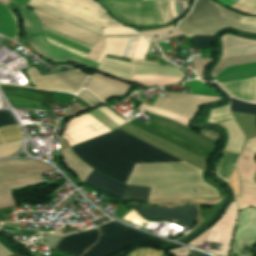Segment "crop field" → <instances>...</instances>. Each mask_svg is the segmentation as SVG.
Wrapping results in <instances>:
<instances>
[{
	"instance_id": "obj_1",
	"label": "crop field",
	"mask_w": 256,
	"mask_h": 256,
	"mask_svg": "<svg viewBox=\"0 0 256 256\" xmlns=\"http://www.w3.org/2000/svg\"><path fill=\"white\" fill-rule=\"evenodd\" d=\"M72 149L94 169L124 183L134 163L181 161L119 129ZM126 183L151 187L148 200L219 196L201 170L185 162L135 164Z\"/></svg>"
},
{
	"instance_id": "obj_2",
	"label": "crop field",
	"mask_w": 256,
	"mask_h": 256,
	"mask_svg": "<svg viewBox=\"0 0 256 256\" xmlns=\"http://www.w3.org/2000/svg\"><path fill=\"white\" fill-rule=\"evenodd\" d=\"M148 117H149V121L150 122H152V123H154V124H156V125H158V126H160V127H162V128H164V129H166V130H168V131H170V132H172V133H174V134H176V135H178V136H180V137H182V138H184V139H186V140H188V141H190V142H192V143H194V144H196V145H198V146H200V147H202V148H204V149H206V150H208V151H213L214 150V148H215V142H213V141H211V140H209V139H207V138H205V137H203V136H201V135H199V134H197V133H195V132H193V131H191V130H189V129H187V128H185V127H183V126H181V125H179V124H177V123H175V122H172V121H170V120H168V119H165V118H162V117H159V116H155V115H152V114H149L148 113ZM152 123H150L151 125H153V126H155V127H157V128H159V129H161V130H163V131H165V132H167V133H169V134H171V135H173V136H175V137H177V138H179V139H181V140H183V141H185V142H187V143H189V144H191V145H193V146H195V147H197V148H199V149H201V150H203V151H205V152H207V153H210V152H208V151H206V150H204V149H202V148H200V147H198V146H196V145H194V144H192V143H190V142H188V141H186V140H184V139H182V138H180V137H178V136H176V135H174V134H172V133H170V132H168V131H166V130H164V129H162V128H160V127H158V126H156V125H154V124H152ZM126 125H128V126H130V127H132V128H134V129H136V130H138V131H140V132H142V133H144V134H146V135H148V136H150V137H152V138H154V139H156V140H158V141H160V142H162V143H164V144H166V145H168V146H170V147H172V148H174V149H176V150H178V151H180V152H182V153H184V154H186V155H188V156H190V157H192V158H194V159H196V160H198V161H200V162H202V163H204V164H206V160H207V156L209 155V154H207V153H205V152H203V151H201V150H199V149H197V148H195V147H193V146H191V145H189V144H187V143H185V142H183V141H181V140H179V139H177V138H175V137H173V136H171V135H169V134H167V133H165V132H163V131H161V130H159V129H157V128H155V127H153V126H151V125H146L145 123H143V122H141V121H139L138 119H136V118H134L133 120H131V121H129V122H127L126 123ZM125 126V125H124ZM123 127V126H122ZM127 127V126H126ZM121 128V127H120ZM125 128V127H124ZM129 128V127H128ZM123 129V128H122ZM127 129V128H126ZM131 129V128H130ZM125 130V129H124ZM129 130V129H128ZM133 130V129H132ZM127 131V130H126ZM131 131V130H130ZM135 131V130H134ZM129 132V131H128ZM133 132V131H132ZM137 132V131H136ZM131 133V132H130ZM135 133V132H134ZM139 133V132H138ZM133 134V133H132ZM137 134V133H136ZM141 134V133H140ZM135 135V134H134ZM139 135V134H138ZM143 135V134H142ZM137 136V135H136ZM141 136V135H140ZM145 136V135H144ZM139 137V136H138ZM143 137V136H142ZM147 137V136H146ZM141 138V137H140ZM145 138V137H144ZM149 138V137H148ZM143 139V138H142ZM147 139V138H146ZM151 139V138H150ZM145 140V139H144ZM149 140V139H148ZM153 140V139H152ZM147 141V140H146ZM151 141V140H150ZM155 141V140H154ZM149 142V141H148ZM153 142V141H152ZM157 142V141H156ZM151 143V142H150ZM155 143V142H154ZM159 143V142H158ZM153 144V143H152ZM157 144V143H156ZM161 144V143H160ZM155 145V144H154ZM159 145V144H158ZM163 145V144H162ZM157 146V145H156ZM161 146V145H160ZM165 146V145H164ZM159 147V146H158ZM163 147V146H162ZM167 147V146H166ZM161 148V147H160ZM165 148V147H164ZM169 148V147H168ZM163 149V148H162ZM167 149V148H166ZM171 149V148H170ZM165 150V149H164ZM169 150V149H168ZM173 150V149H172ZM167 151V150H166ZM171 151V150H170ZM175 151V150H174ZM169 152V151H168ZM173 152V151H172ZM177 152V151H176ZM171 153V152H170ZM175 153V152H174ZM179 153V152H178ZM173 154V153H172ZM177 154V153H176ZM181 154V153H180ZM175 155V154H174ZM179 155V154H178ZM183 155V154H182ZM177 156V155H176ZM181 156V155H180ZM185 156V155H184ZM179 157V156H178ZM183 157V156H182ZM187 157V156H186ZM181 158V157H180ZM185 158V157H184ZM189 158V157H188ZM183 159V158H182ZM187 159V158H186ZM191 159V158H190ZM185 160V159H184ZM189 160V159H188ZM193 160V159H192ZM187 161V160H186ZM191 161V160H190ZM195 161V160H194ZM189 162V161H188ZM193 162V161H192ZM197 162V161H196ZM191 163V162H190ZM195 163V162H194ZM199 163V162H198ZM193 164V163H192ZM197 164V163H196ZM201 164V163H200ZM195 165V164H194ZM199 165V164H198ZM203 165V164H202ZM197 166V165H196ZM201 166V165H200ZM205 166V165H204ZM199 167V166H198ZM203 167V166H202ZM201 168V167H200ZM205 168V167H204ZM203 169V168H202ZM205 170V169H204Z\"/></svg>"
},
{
	"instance_id": "obj_3",
	"label": "crop field",
	"mask_w": 256,
	"mask_h": 256,
	"mask_svg": "<svg viewBox=\"0 0 256 256\" xmlns=\"http://www.w3.org/2000/svg\"><path fill=\"white\" fill-rule=\"evenodd\" d=\"M196 3L191 13L177 27L185 37L212 35L224 27L256 33V18L241 17L209 0H197Z\"/></svg>"
},
{
	"instance_id": "obj_4",
	"label": "crop field",
	"mask_w": 256,
	"mask_h": 256,
	"mask_svg": "<svg viewBox=\"0 0 256 256\" xmlns=\"http://www.w3.org/2000/svg\"><path fill=\"white\" fill-rule=\"evenodd\" d=\"M49 169L32 160L0 162V191L42 182L39 172ZM10 190L0 192V209L15 206Z\"/></svg>"
},
{
	"instance_id": "obj_5",
	"label": "crop field",
	"mask_w": 256,
	"mask_h": 256,
	"mask_svg": "<svg viewBox=\"0 0 256 256\" xmlns=\"http://www.w3.org/2000/svg\"><path fill=\"white\" fill-rule=\"evenodd\" d=\"M99 230L101 235L98 242L82 256H111L134 243L162 241L117 222L104 224Z\"/></svg>"
},
{
	"instance_id": "obj_6",
	"label": "crop field",
	"mask_w": 256,
	"mask_h": 256,
	"mask_svg": "<svg viewBox=\"0 0 256 256\" xmlns=\"http://www.w3.org/2000/svg\"><path fill=\"white\" fill-rule=\"evenodd\" d=\"M18 12L21 14L24 20L26 40L37 53L54 62L71 61L91 68H98L99 64L97 63H93L86 59L49 46V44H47L44 39L40 24L36 16L23 8Z\"/></svg>"
},
{
	"instance_id": "obj_7",
	"label": "crop field",
	"mask_w": 256,
	"mask_h": 256,
	"mask_svg": "<svg viewBox=\"0 0 256 256\" xmlns=\"http://www.w3.org/2000/svg\"><path fill=\"white\" fill-rule=\"evenodd\" d=\"M256 152V138L248 139L241 150L236 161V169L240 180L239 196H233L238 209L249 206L256 208V184H254V174L256 163L253 156ZM245 158H247L245 160Z\"/></svg>"
},
{
	"instance_id": "obj_8",
	"label": "crop field",
	"mask_w": 256,
	"mask_h": 256,
	"mask_svg": "<svg viewBox=\"0 0 256 256\" xmlns=\"http://www.w3.org/2000/svg\"><path fill=\"white\" fill-rule=\"evenodd\" d=\"M120 21L137 25H159L155 2L142 0H98Z\"/></svg>"
},
{
	"instance_id": "obj_9",
	"label": "crop field",
	"mask_w": 256,
	"mask_h": 256,
	"mask_svg": "<svg viewBox=\"0 0 256 256\" xmlns=\"http://www.w3.org/2000/svg\"><path fill=\"white\" fill-rule=\"evenodd\" d=\"M100 27L121 26L90 0H37Z\"/></svg>"
},
{
	"instance_id": "obj_10",
	"label": "crop field",
	"mask_w": 256,
	"mask_h": 256,
	"mask_svg": "<svg viewBox=\"0 0 256 256\" xmlns=\"http://www.w3.org/2000/svg\"><path fill=\"white\" fill-rule=\"evenodd\" d=\"M33 12H35L43 26L93 46L90 52L87 54L86 59L95 62L103 48L102 37L39 12L35 9H33Z\"/></svg>"
},
{
	"instance_id": "obj_11",
	"label": "crop field",
	"mask_w": 256,
	"mask_h": 256,
	"mask_svg": "<svg viewBox=\"0 0 256 256\" xmlns=\"http://www.w3.org/2000/svg\"><path fill=\"white\" fill-rule=\"evenodd\" d=\"M30 81L33 85L42 89H53L64 92L76 93L82 87L86 78V74L74 69L67 72L43 76L42 79L46 85H44L38 71L32 67L26 71Z\"/></svg>"
},
{
	"instance_id": "obj_12",
	"label": "crop field",
	"mask_w": 256,
	"mask_h": 256,
	"mask_svg": "<svg viewBox=\"0 0 256 256\" xmlns=\"http://www.w3.org/2000/svg\"><path fill=\"white\" fill-rule=\"evenodd\" d=\"M220 98L169 92V98L157 97L153 107L163 109L190 120L199 105Z\"/></svg>"
},
{
	"instance_id": "obj_13",
	"label": "crop field",
	"mask_w": 256,
	"mask_h": 256,
	"mask_svg": "<svg viewBox=\"0 0 256 256\" xmlns=\"http://www.w3.org/2000/svg\"><path fill=\"white\" fill-rule=\"evenodd\" d=\"M151 45L143 38H104V49L96 62L101 63L106 54L144 60Z\"/></svg>"
},
{
	"instance_id": "obj_14",
	"label": "crop field",
	"mask_w": 256,
	"mask_h": 256,
	"mask_svg": "<svg viewBox=\"0 0 256 256\" xmlns=\"http://www.w3.org/2000/svg\"><path fill=\"white\" fill-rule=\"evenodd\" d=\"M12 108L43 110L41 104L52 102V93L27 87L0 85Z\"/></svg>"
},
{
	"instance_id": "obj_15",
	"label": "crop field",
	"mask_w": 256,
	"mask_h": 256,
	"mask_svg": "<svg viewBox=\"0 0 256 256\" xmlns=\"http://www.w3.org/2000/svg\"><path fill=\"white\" fill-rule=\"evenodd\" d=\"M109 131L95 118L87 114L69 120L61 137L65 138L70 146H73Z\"/></svg>"
},
{
	"instance_id": "obj_16",
	"label": "crop field",
	"mask_w": 256,
	"mask_h": 256,
	"mask_svg": "<svg viewBox=\"0 0 256 256\" xmlns=\"http://www.w3.org/2000/svg\"><path fill=\"white\" fill-rule=\"evenodd\" d=\"M28 6L33 7L35 9H38L42 12H45L47 14H50L52 16H55L57 18H60L62 20H65L69 23H72L74 25H77L79 27H82L84 29H87L91 32H94L96 34H99L103 36V29L99 28L97 26H94L90 23H87L85 21H82L78 18H75L73 16H70L66 13H63L61 11H58L56 9H53L49 6H46L44 4H41L37 1L30 0L28 3ZM123 36H140L133 32L132 30L126 28V27H114V28H104V37H123Z\"/></svg>"
},
{
	"instance_id": "obj_17",
	"label": "crop field",
	"mask_w": 256,
	"mask_h": 256,
	"mask_svg": "<svg viewBox=\"0 0 256 256\" xmlns=\"http://www.w3.org/2000/svg\"><path fill=\"white\" fill-rule=\"evenodd\" d=\"M84 87L90 89L105 101L117 95H124L132 88L131 85L101 76L96 73L91 76Z\"/></svg>"
},
{
	"instance_id": "obj_18",
	"label": "crop field",
	"mask_w": 256,
	"mask_h": 256,
	"mask_svg": "<svg viewBox=\"0 0 256 256\" xmlns=\"http://www.w3.org/2000/svg\"><path fill=\"white\" fill-rule=\"evenodd\" d=\"M98 229L66 236L57 245L56 250L72 256H80L91 244L95 243Z\"/></svg>"
},
{
	"instance_id": "obj_19",
	"label": "crop field",
	"mask_w": 256,
	"mask_h": 256,
	"mask_svg": "<svg viewBox=\"0 0 256 256\" xmlns=\"http://www.w3.org/2000/svg\"><path fill=\"white\" fill-rule=\"evenodd\" d=\"M222 49V58L256 53V41L225 35L222 37Z\"/></svg>"
},
{
	"instance_id": "obj_20",
	"label": "crop field",
	"mask_w": 256,
	"mask_h": 256,
	"mask_svg": "<svg viewBox=\"0 0 256 256\" xmlns=\"http://www.w3.org/2000/svg\"><path fill=\"white\" fill-rule=\"evenodd\" d=\"M86 183L103 193L109 194L119 199L126 187L123 184L117 183L104 177L94 170L86 180Z\"/></svg>"
},
{
	"instance_id": "obj_21",
	"label": "crop field",
	"mask_w": 256,
	"mask_h": 256,
	"mask_svg": "<svg viewBox=\"0 0 256 256\" xmlns=\"http://www.w3.org/2000/svg\"><path fill=\"white\" fill-rule=\"evenodd\" d=\"M238 154L239 153L228 151L218 170L219 176L231 185L236 195H238L239 180L234 163Z\"/></svg>"
},
{
	"instance_id": "obj_22",
	"label": "crop field",
	"mask_w": 256,
	"mask_h": 256,
	"mask_svg": "<svg viewBox=\"0 0 256 256\" xmlns=\"http://www.w3.org/2000/svg\"><path fill=\"white\" fill-rule=\"evenodd\" d=\"M255 80H244V81H236L229 83H222L220 86L226 91L229 95L236 97L238 99L246 100L251 102Z\"/></svg>"
},
{
	"instance_id": "obj_23",
	"label": "crop field",
	"mask_w": 256,
	"mask_h": 256,
	"mask_svg": "<svg viewBox=\"0 0 256 256\" xmlns=\"http://www.w3.org/2000/svg\"><path fill=\"white\" fill-rule=\"evenodd\" d=\"M170 23L177 19L186 9V2L165 1ZM164 1L156 2L161 24L169 23Z\"/></svg>"
},
{
	"instance_id": "obj_24",
	"label": "crop field",
	"mask_w": 256,
	"mask_h": 256,
	"mask_svg": "<svg viewBox=\"0 0 256 256\" xmlns=\"http://www.w3.org/2000/svg\"><path fill=\"white\" fill-rule=\"evenodd\" d=\"M62 156L64 163L66 166L72 170L75 175L81 180L85 181V179L88 177V175L91 173L93 169L88 167L86 164H84L82 161H80L70 150V148L62 150Z\"/></svg>"
},
{
	"instance_id": "obj_25",
	"label": "crop field",
	"mask_w": 256,
	"mask_h": 256,
	"mask_svg": "<svg viewBox=\"0 0 256 256\" xmlns=\"http://www.w3.org/2000/svg\"><path fill=\"white\" fill-rule=\"evenodd\" d=\"M182 78L169 77L162 75H133L130 78V82L141 84L144 86H164L172 85L182 81Z\"/></svg>"
},
{
	"instance_id": "obj_26",
	"label": "crop field",
	"mask_w": 256,
	"mask_h": 256,
	"mask_svg": "<svg viewBox=\"0 0 256 256\" xmlns=\"http://www.w3.org/2000/svg\"><path fill=\"white\" fill-rule=\"evenodd\" d=\"M229 134V142L226 150L239 152L242 145L245 143V136L237 127L234 120L220 123Z\"/></svg>"
},
{
	"instance_id": "obj_27",
	"label": "crop field",
	"mask_w": 256,
	"mask_h": 256,
	"mask_svg": "<svg viewBox=\"0 0 256 256\" xmlns=\"http://www.w3.org/2000/svg\"><path fill=\"white\" fill-rule=\"evenodd\" d=\"M17 33L18 26L13 13L0 5V34L12 38Z\"/></svg>"
},
{
	"instance_id": "obj_28",
	"label": "crop field",
	"mask_w": 256,
	"mask_h": 256,
	"mask_svg": "<svg viewBox=\"0 0 256 256\" xmlns=\"http://www.w3.org/2000/svg\"><path fill=\"white\" fill-rule=\"evenodd\" d=\"M237 213L238 209L233 201L221 219L210 229L233 233L235 229Z\"/></svg>"
},
{
	"instance_id": "obj_29",
	"label": "crop field",
	"mask_w": 256,
	"mask_h": 256,
	"mask_svg": "<svg viewBox=\"0 0 256 256\" xmlns=\"http://www.w3.org/2000/svg\"><path fill=\"white\" fill-rule=\"evenodd\" d=\"M98 109L119 125L126 122L106 106L100 107ZM99 110L97 109L92 110L89 112V114H91L93 117H95L97 120H99L101 123H103L105 126H107L111 130L119 126L115 122H113L111 119H109L107 116H105L103 113H101Z\"/></svg>"
},
{
	"instance_id": "obj_30",
	"label": "crop field",
	"mask_w": 256,
	"mask_h": 256,
	"mask_svg": "<svg viewBox=\"0 0 256 256\" xmlns=\"http://www.w3.org/2000/svg\"><path fill=\"white\" fill-rule=\"evenodd\" d=\"M251 62H256V54L221 59L220 62L216 65L215 69L212 71L211 75L214 77L227 67Z\"/></svg>"
},
{
	"instance_id": "obj_31",
	"label": "crop field",
	"mask_w": 256,
	"mask_h": 256,
	"mask_svg": "<svg viewBox=\"0 0 256 256\" xmlns=\"http://www.w3.org/2000/svg\"><path fill=\"white\" fill-rule=\"evenodd\" d=\"M134 73L166 74V75H176V76L184 77V75L178 68L141 65V64H136Z\"/></svg>"
},
{
	"instance_id": "obj_32",
	"label": "crop field",
	"mask_w": 256,
	"mask_h": 256,
	"mask_svg": "<svg viewBox=\"0 0 256 256\" xmlns=\"http://www.w3.org/2000/svg\"><path fill=\"white\" fill-rule=\"evenodd\" d=\"M233 234L228 233H220L216 231H210L207 241L215 242V243H222L221 251L219 256H228L229 248L232 240Z\"/></svg>"
},
{
	"instance_id": "obj_33",
	"label": "crop field",
	"mask_w": 256,
	"mask_h": 256,
	"mask_svg": "<svg viewBox=\"0 0 256 256\" xmlns=\"http://www.w3.org/2000/svg\"><path fill=\"white\" fill-rule=\"evenodd\" d=\"M150 188L127 185L122 198L147 201Z\"/></svg>"
},
{
	"instance_id": "obj_34",
	"label": "crop field",
	"mask_w": 256,
	"mask_h": 256,
	"mask_svg": "<svg viewBox=\"0 0 256 256\" xmlns=\"http://www.w3.org/2000/svg\"><path fill=\"white\" fill-rule=\"evenodd\" d=\"M21 138V131L18 125H11L0 128V143Z\"/></svg>"
},
{
	"instance_id": "obj_35",
	"label": "crop field",
	"mask_w": 256,
	"mask_h": 256,
	"mask_svg": "<svg viewBox=\"0 0 256 256\" xmlns=\"http://www.w3.org/2000/svg\"><path fill=\"white\" fill-rule=\"evenodd\" d=\"M231 118L232 117L228 112V105H227V106H223V107L211 110L207 121L218 123L222 121L231 120Z\"/></svg>"
},
{
	"instance_id": "obj_36",
	"label": "crop field",
	"mask_w": 256,
	"mask_h": 256,
	"mask_svg": "<svg viewBox=\"0 0 256 256\" xmlns=\"http://www.w3.org/2000/svg\"><path fill=\"white\" fill-rule=\"evenodd\" d=\"M230 111L256 114V105L231 98Z\"/></svg>"
},
{
	"instance_id": "obj_37",
	"label": "crop field",
	"mask_w": 256,
	"mask_h": 256,
	"mask_svg": "<svg viewBox=\"0 0 256 256\" xmlns=\"http://www.w3.org/2000/svg\"><path fill=\"white\" fill-rule=\"evenodd\" d=\"M20 144H21V139L11 141V142L1 143L0 144V158L14 155L15 152L20 150V148H19Z\"/></svg>"
},
{
	"instance_id": "obj_38",
	"label": "crop field",
	"mask_w": 256,
	"mask_h": 256,
	"mask_svg": "<svg viewBox=\"0 0 256 256\" xmlns=\"http://www.w3.org/2000/svg\"><path fill=\"white\" fill-rule=\"evenodd\" d=\"M232 8L239 12L256 15V0H241Z\"/></svg>"
},
{
	"instance_id": "obj_39",
	"label": "crop field",
	"mask_w": 256,
	"mask_h": 256,
	"mask_svg": "<svg viewBox=\"0 0 256 256\" xmlns=\"http://www.w3.org/2000/svg\"><path fill=\"white\" fill-rule=\"evenodd\" d=\"M102 64L108 65L116 69L132 72V73L134 71V66H135V64L133 63L117 61V60H112L107 58H104V60L102 61Z\"/></svg>"
},
{
	"instance_id": "obj_40",
	"label": "crop field",
	"mask_w": 256,
	"mask_h": 256,
	"mask_svg": "<svg viewBox=\"0 0 256 256\" xmlns=\"http://www.w3.org/2000/svg\"><path fill=\"white\" fill-rule=\"evenodd\" d=\"M213 36H194L191 49H212Z\"/></svg>"
},
{
	"instance_id": "obj_41",
	"label": "crop field",
	"mask_w": 256,
	"mask_h": 256,
	"mask_svg": "<svg viewBox=\"0 0 256 256\" xmlns=\"http://www.w3.org/2000/svg\"><path fill=\"white\" fill-rule=\"evenodd\" d=\"M140 109H143V110L155 113V114H159V115L171 118V119L176 120V121H178V122H180L184 125H187V122H188V120L183 119V118H181V117H179L175 114H172V113H169V112H166V111H163V110H159V109H156V108H153V107H150V106H146V105H143V104H141Z\"/></svg>"
},
{
	"instance_id": "obj_42",
	"label": "crop field",
	"mask_w": 256,
	"mask_h": 256,
	"mask_svg": "<svg viewBox=\"0 0 256 256\" xmlns=\"http://www.w3.org/2000/svg\"><path fill=\"white\" fill-rule=\"evenodd\" d=\"M98 71L113 75L115 77H118V78H121V79H124L127 81L129 80V78L131 76V74H129V73H125V72L110 68V67L102 65V64H100Z\"/></svg>"
},
{
	"instance_id": "obj_43",
	"label": "crop field",
	"mask_w": 256,
	"mask_h": 256,
	"mask_svg": "<svg viewBox=\"0 0 256 256\" xmlns=\"http://www.w3.org/2000/svg\"><path fill=\"white\" fill-rule=\"evenodd\" d=\"M78 97L92 107L102 103L94 95L86 90H81L78 94Z\"/></svg>"
},
{
	"instance_id": "obj_44",
	"label": "crop field",
	"mask_w": 256,
	"mask_h": 256,
	"mask_svg": "<svg viewBox=\"0 0 256 256\" xmlns=\"http://www.w3.org/2000/svg\"><path fill=\"white\" fill-rule=\"evenodd\" d=\"M44 34H45V36L48 37V38H51V39L56 40V41H58V42H61V43H63V44L69 45V46H71V47H74V48L79 49V50H81V51H84V52H86V53H88V51H89V49H87V48H84V47H82V46H79V45H77V44H74V43H72V42H69V41H67V40H65V39H62V38H60V37H57V36H55V35H52V34H50V33L45 32V31H44Z\"/></svg>"
},
{
	"instance_id": "obj_45",
	"label": "crop field",
	"mask_w": 256,
	"mask_h": 256,
	"mask_svg": "<svg viewBox=\"0 0 256 256\" xmlns=\"http://www.w3.org/2000/svg\"><path fill=\"white\" fill-rule=\"evenodd\" d=\"M196 73L202 79V73L205 67L210 63L211 59H193Z\"/></svg>"
},
{
	"instance_id": "obj_46",
	"label": "crop field",
	"mask_w": 256,
	"mask_h": 256,
	"mask_svg": "<svg viewBox=\"0 0 256 256\" xmlns=\"http://www.w3.org/2000/svg\"><path fill=\"white\" fill-rule=\"evenodd\" d=\"M45 38H46V37H45ZM46 40L48 41V43H50V44H52V45H55V46H57V47H60V48L65 49V50H67V51H70V52H72V53H74V54H77V55L83 57V58H85V56H86V53H84V52H81V51H79V50H76V49L71 48V47H69V46L63 45V44H61V43H58V42L53 41V40L48 39V38H46Z\"/></svg>"
},
{
	"instance_id": "obj_47",
	"label": "crop field",
	"mask_w": 256,
	"mask_h": 256,
	"mask_svg": "<svg viewBox=\"0 0 256 256\" xmlns=\"http://www.w3.org/2000/svg\"><path fill=\"white\" fill-rule=\"evenodd\" d=\"M145 249L137 250L129 256H142ZM162 252L154 249H146L143 256H161Z\"/></svg>"
},
{
	"instance_id": "obj_48",
	"label": "crop field",
	"mask_w": 256,
	"mask_h": 256,
	"mask_svg": "<svg viewBox=\"0 0 256 256\" xmlns=\"http://www.w3.org/2000/svg\"><path fill=\"white\" fill-rule=\"evenodd\" d=\"M15 121L8 111H0V127L14 124Z\"/></svg>"
},
{
	"instance_id": "obj_49",
	"label": "crop field",
	"mask_w": 256,
	"mask_h": 256,
	"mask_svg": "<svg viewBox=\"0 0 256 256\" xmlns=\"http://www.w3.org/2000/svg\"><path fill=\"white\" fill-rule=\"evenodd\" d=\"M175 27L173 25L167 27V28H162V29H156V30H152V31H143V32H139L140 34H142L145 37H151V36H155L161 33H165V32H169L172 31Z\"/></svg>"
},
{
	"instance_id": "obj_50",
	"label": "crop field",
	"mask_w": 256,
	"mask_h": 256,
	"mask_svg": "<svg viewBox=\"0 0 256 256\" xmlns=\"http://www.w3.org/2000/svg\"><path fill=\"white\" fill-rule=\"evenodd\" d=\"M182 34H183L182 32H180L179 30H176V31H174L172 33H169V34H166V35L151 38V40L153 42H158V41L166 40V39L176 37V36H179V35H182Z\"/></svg>"
},
{
	"instance_id": "obj_51",
	"label": "crop field",
	"mask_w": 256,
	"mask_h": 256,
	"mask_svg": "<svg viewBox=\"0 0 256 256\" xmlns=\"http://www.w3.org/2000/svg\"><path fill=\"white\" fill-rule=\"evenodd\" d=\"M42 27H43V26H42ZM43 30H45V31H47V32H50V33H52V34H55V35H57V36H60V37L65 38V39H67V40H69V41H72V42H74V43H77V44H79V45H82V46H84V47H87V48L91 49V46H89V45H86V44H84V43H82V42H79V41L74 40V39H72V38H69V37H67V36H65V35H62V34L57 33V32H55V31H52V30H50V29H48V28L43 27Z\"/></svg>"
},
{
	"instance_id": "obj_52",
	"label": "crop field",
	"mask_w": 256,
	"mask_h": 256,
	"mask_svg": "<svg viewBox=\"0 0 256 256\" xmlns=\"http://www.w3.org/2000/svg\"><path fill=\"white\" fill-rule=\"evenodd\" d=\"M80 111H84V109H82L78 104L74 103V105L66 112L65 117L69 118Z\"/></svg>"
},
{
	"instance_id": "obj_53",
	"label": "crop field",
	"mask_w": 256,
	"mask_h": 256,
	"mask_svg": "<svg viewBox=\"0 0 256 256\" xmlns=\"http://www.w3.org/2000/svg\"><path fill=\"white\" fill-rule=\"evenodd\" d=\"M171 252L174 256H188L189 255V250L181 247L177 250L169 251Z\"/></svg>"
},
{
	"instance_id": "obj_54",
	"label": "crop field",
	"mask_w": 256,
	"mask_h": 256,
	"mask_svg": "<svg viewBox=\"0 0 256 256\" xmlns=\"http://www.w3.org/2000/svg\"><path fill=\"white\" fill-rule=\"evenodd\" d=\"M12 255L3 245L0 244V256H9Z\"/></svg>"
},
{
	"instance_id": "obj_55",
	"label": "crop field",
	"mask_w": 256,
	"mask_h": 256,
	"mask_svg": "<svg viewBox=\"0 0 256 256\" xmlns=\"http://www.w3.org/2000/svg\"><path fill=\"white\" fill-rule=\"evenodd\" d=\"M12 1L16 2L17 4H19L20 6L25 8V6L29 0H12Z\"/></svg>"
},
{
	"instance_id": "obj_56",
	"label": "crop field",
	"mask_w": 256,
	"mask_h": 256,
	"mask_svg": "<svg viewBox=\"0 0 256 256\" xmlns=\"http://www.w3.org/2000/svg\"><path fill=\"white\" fill-rule=\"evenodd\" d=\"M191 256H207V255H203V254L192 251Z\"/></svg>"
},
{
	"instance_id": "obj_57",
	"label": "crop field",
	"mask_w": 256,
	"mask_h": 256,
	"mask_svg": "<svg viewBox=\"0 0 256 256\" xmlns=\"http://www.w3.org/2000/svg\"><path fill=\"white\" fill-rule=\"evenodd\" d=\"M252 102H256V85H255V90H254V95H253Z\"/></svg>"
},
{
	"instance_id": "obj_58",
	"label": "crop field",
	"mask_w": 256,
	"mask_h": 256,
	"mask_svg": "<svg viewBox=\"0 0 256 256\" xmlns=\"http://www.w3.org/2000/svg\"><path fill=\"white\" fill-rule=\"evenodd\" d=\"M10 0H0L1 3H3L4 5L9 2Z\"/></svg>"
},
{
	"instance_id": "obj_59",
	"label": "crop field",
	"mask_w": 256,
	"mask_h": 256,
	"mask_svg": "<svg viewBox=\"0 0 256 256\" xmlns=\"http://www.w3.org/2000/svg\"><path fill=\"white\" fill-rule=\"evenodd\" d=\"M145 101V100H144ZM142 102L143 104H147V105H150V106H152V103H148V102Z\"/></svg>"
},
{
	"instance_id": "obj_60",
	"label": "crop field",
	"mask_w": 256,
	"mask_h": 256,
	"mask_svg": "<svg viewBox=\"0 0 256 256\" xmlns=\"http://www.w3.org/2000/svg\"><path fill=\"white\" fill-rule=\"evenodd\" d=\"M231 1H233V2L237 3V2H238V1H240V0H231Z\"/></svg>"
},
{
	"instance_id": "obj_61",
	"label": "crop field",
	"mask_w": 256,
	"mask_h": 256,
	"mask_svg": "<svg viewBox=\"0 0 256 256\" xmlns=\"http://www.w3.org/2000/svg\"><path fill=\"white\" fill-rule=\"evenodd\" d=\"M13 256H19L18 254H16V255H13Z\"/></svg>"
},
{
	"instance_id": "obj_62",
	"label": "crop field",
	"mask_w": 256,
	"mask_h": 256,
	"mask_svg": "<svg viewBox=\"0 0 256 256\" xmlns=\"http://www.w3.org/2000/svg\"><path fill=\"white\" fill-rule=\"evenodd\" d=\"M163 256H165V254H163Z\"/></svg>"
}]
</instances>
